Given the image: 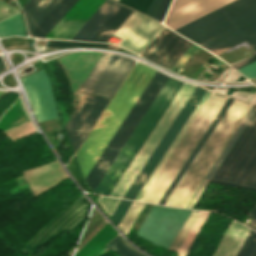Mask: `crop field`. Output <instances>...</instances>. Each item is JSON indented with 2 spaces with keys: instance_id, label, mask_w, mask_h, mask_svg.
<instances>
[{
  "instance_id": "1",
  "label": "crop field",
  "mask_w": 256,
  "mask_h": 256,
  "mask_svg": "<svg viewBox=\"0 0 256 256\" xmlns=\"http://www.w3.org/2000/svg\"><path fill=\"white\" fill-rule=\"evenodd\" d=\"M215 55L243 42L256 50V0H236L177 30ZM256 59V54L234 65L235 69Z\"/></svg>"
},
{
  "instance_id": "2",
  "label": "crop field",
  "mask_w": 256,
  "mask_h": 256,
  "mask_svg": "<svg viewBox=\"0 0 256 256\" xmlns=\"http://www.w3.org/2000/svg\"><path fill=\"white\" fill-rule=\"evenodd\" d=\"M154 73L155 70L136 63L96 126L77 151L76 157L85 178Z\"/></svg>"
},
{
  "instance_id": "3",
  "label": "crop field",
  "mask_w": 256,
  "mask_h": 256,
  "mask_svg": "<svg viewBox=\"0 0 256 256\" xmlns=\"http://www.w3.org/2000/svg\"><path fill=\"white\" fill-rule=\"evenodd\" d=\"M251 106L235 99L165 205L185 207Z\"/></svg>"
},
{
  "instance_id": "4",
  "label": "crop field",
  "mask_w": 256,
  "mask_h": 256,
  "mask_svg": "<svg viewBox=\"0 0 256 256\" xmlns=\"http://www.w3.org/2000/svg\"><path fill=\"white\" fill-rule=\"evenodd\" d=\"M227 99L212 92L141 201L158 204Z\"/></svg>"
},
{
  "instance_id": "5",
  "label": "crop field",
  "mask_w": 256,
  "mask_h": 256,
  "mask_svg": "<svg viewBox=\"0 0 256 256\" xmlns=\"http://www.w3.org/2000/svg\"><path fill=\"white\" fill-rule=\"evenodd\" d=\"M182 84L183 82L169 77L133 133L130 135L94 189L93 192L95 194L109 196Z\"/></svg>"
},
{
  "instance_id": "6",
  "label": "crop field",
  "mask_w": 256,
  "mask_h": 256,
  "mask_svg": "<svg viewBox=\"0 0 256 256\" xmlns=\"http://www.w3.org/2000/svg\"><path fill=\"white\" fill-rule=\"evenodd\" d=\"M211 179L256 190V112Z\"/></svg>"
},
{
  "instance_id": "7",
  "label": "crop field",
  "mask_w": 256,
  "mask_h": 256,
  "mask_svg": "<svg viewBox=\"0 0 256 256\" xmlns=\"http://www.w3.org/2000/svg\"><path fill=\"white\" fill-rule=\"evenodd\" d=\"M167 79L168 76L156 71L145 90L87 176L86 180L92 191Z\"/></svg>"
},
{
  "instance_id": "8",
  "label": "crop field",
  "mask_w": 256,
  "mask_h": 256,
  "mask_svg": "<svg viewBox=\"0 0 256 256\" xmlns=\"http://www.w3.org/2000/svg\"><path fill=\"white\" fill-rule=\"evenodd\" d=\"M194 88L195 85L183 84L110 196L122 198Z\"/></svg>"
},
{
  "instance_id": "9",
  "label": "crop field",
  "mask_w": 256,
  "mask_h": 256,
  "mask_svg": "<svg viewBox=\"0 0 256 256\" xmlns=\"http://www.w3.org/2000/svg\"><path fill=\"white\" fill-rule=\"evenodd\" d=\"M191 210L153 205L137 235L169 249Z\"/></svg>"
},
{
  "instance_id": "10",
  "label": "crop field",
  "mask_w": 256,
  "mask_h": 256,
  "mask_svg": "<svg viewBox=\"0 0 256 256\" xmlns=\"http://www.w3.org/2000/svg\"><path fill=\"white\" fill-rule=\"evenodd\" d=\"M205 92L206 89L196 86L123 198L134 200Z\"/></svg>"
},
{
  "instance_id": "11",
  "label": "crop field",
  "mask_w": 256,
  "mask_h": 256,
  "mask_svg": "<svg viewBox=\"0 0 256 256\" xmlns=\"http://www.w3.org/2000/svg\"><path fill=\"white\" fill-rule=\"evenodd\" d=\"M134 63L128 58L103 53L80 90L111 98Z\"/></svg>"
},
{
  "instance_id": "12",
  "label": "crop field",
  "mask_w": 256,
  "mask_h": 256,
  "mask_svg": "<svg viewBox=\"0 0 256 256\" xmlns=\"http://www.w3.org/2000/svg\"><path fill=\"white\" fill-rule=\"evenodd\" d=\"M89 210L90 203L82 196L51 221L22 251L32 256L52 237L64 230L74 231L86 220Z\"/></svg>"
},
{
  "instance_id": "13",
  "label": "crop field",
  "mask_w": 256,
  "mask_h": 256,
  "mask_svg": "<svg viewBox=\"0 0 256 256\" xmlns=\"http://www.w3.org/2000/svg\"><path fill=\"white\" fill-rule=\"evenodd\" d=\"M108 101L79 92L76 107L65 127L75 152Z\"/></svg>"
},
{
  "instance_id": "14",
  "label": "crop field",
  "mask_w": 256,
  "mask_h": 256,
  "mask_svg": "<svg viewBox=\"0 0 256 256\" xmlns=\"http://www.w3.org/2000/svg\"><path fill=\"white\" fill-rule=\"evenodd\" d=\"M164 26L133 11L113 36L122 39L118 45L140 54Z\"/></svg>"
},
{
  "instance_id": "15",
  "label": "crop field",
  "mask_w": 256,
  "mask_h": 256,
  "mask_svg": "<svg viewBox=\"0 0 256 256\" xmlns=\"http://www.w3.org/2000/svg\"><path fill=\"white\" fill-rule=\"evenodd\" d=\"M38 122L57 118V111L44 69L22 79Z\"/></svg>"
},
{
  "instance_id": "16",
  "label": "crop field",
  "mask_w": 256,
  "mask_h": 256,
  "mask_svg": "<svg viewBox=\"0 0 256 256\" xmlns=\"http://www.w3.org/2000/svg\"><path fill=\"white\" fill-rule=\"evenodd\" d=\"M192 44L165 27L141 56L170 69ZM155 47H159V51H155Z\"/></svg>"
},
{
  "instance_id": "17",
  "label": "crop field",
  "mask_w": 256,
  "mask_h": 256,
  "mask_svg": "<svg viewBox=\"0 0 256 256\" xmlns=\"http://www.w3.org/2000/svg\"><path fill=\"white\" fill-rule=\"evenodd\" d=\"M105 0H78L46 37L71 39Z\"/></svg>"
},
{
  "instance_id": "18",
  "label": "crop field",
  "mask_w": 256,
  "mask_h": 256,
  "mask_svg": "<svg viewBox=\"0 0 256 256\" xmlns=\"http://www.w3.org/2000/svg\"><path fill=\"white\" fill-rule=\"evenodd\" d=\"M119 6L118 3L106 0L72 39L89 41Z\"/></svg>"
},
{
  "instance_id": "19",
  "label": "crop field",
  "mask_w": 256,
  "mask_h": 256,
  "mask_svg": "<svg viewBox=\"0 0 256 256\" xmlns=\"http://www.w3.org/2000/svg\"><path fill=\"white\" fill-rule=\"evenodd\" d=\"M249 230L233 220L213 256H235Z\"/></svg>"
},
{
  "instance_id": "20",
  "label": "crop field",
  "mask_w": 256,
  "mask_h": 256,
  "mask_svg": "<svg viewBox=\"0 0 256 256\" xmlns=\"http://www.w3.org/2000/svg\"><path fill=\"white\" fill-rule=\"evenodd\" d=\"M59 1L60 0H29L27 2L22 10L26 16L29 34L58 4Z\"/></svg>"
},
{
  "instance_id": "21",
  "label": "crop field",
  "mask_w": 256,
  "mask_h": 256,
  "mask_svg": "<svg viewBox=\"0 0 256 256\" xmlns=\"http://www.w3.org/2000/svg\"><path fill=\"white\" fill-rule=\"evenodd\" d=\"M233 100L234 98L229 97V99L227 100V102L225 103V105L223 106V108L221 109V111L219 112V114L217 115V117L215 118V120L213 121V123L211 124V126L209 127V129L207 130V132L205 133V135L203 136V138L201 139V141L199 142V144L197 145V147L195 148V150L193 151V153L191 154V156L189 157V159L187 160V162L185 163V165L183 166V168L181 169V171L179 172V174L177 175V177L175 178V180L173 181V183L163 196V198L161 199V201L159 202V204L164 205V203L166 202V200L168 199V197L170 196V194L172 193L180 179L183 177V175L185 174V172L187 171V169L189 168V166L191 165V163L193 162V160L195 159V157L197 156V154L199 153V151L201 150V148L203 147V145L205 144V142L207 141V139L209 138V136L211 135V133L213 132V130L215 129V127L225 114V112L227 111V109L229 108V106L231 105V103L233 102Z\"/></svg>"
},
{
  "instance_id": "22",
  "label": "crop field",
  "mask_w": 256,
  "mask_h": 256,
  "mask_svg": "<svg viewBox=\"0 0 256 256\" xmlns=\"http://www.w3.org/2000/svg\"><path fill=\"white\" fill-rule=\"evenodd\" d=\"M210 94V91H207L205 93V95L203 96V98L201 99V101L199 102V104L197 105V107L195 108V110L193 111V113L191 114V116L189 117V119L187 120V122L185 123V125L183 126V128L181 129V131L179 132V134L177 135V137L175 138V140L173 141V143L171 144V146L169 147V149L167 150V152L165 153V155L139 192V194L137 195V197L135 198V200L140 201V199L142 198V196L144 195V193L146 192V190L148 189V187L150 186V184L152 183V181L154 180V178L156 177V175L158 174V172L160 171V169L162 168V166L164 165V163L174 150L175 146L177 145V143L179 142V140L181 139V137L183 136V134L185 133V131L187 130V128L189 127V125L191 124V122L193 121V119L195 118Z\"/></svg>"
},
{
  "instance_id": "23",
  "label": "crop field",
  "mask_w": 256,
  "mask_h": 256,
  "mask_svg": "<svg viewBox=\"0 0 256 256\" xmlns=\"http://www.w3.org/2000/svg\"><path fill=\"white\" fill-rule=\"evenodd\" d=\"M76 1L77 0H62L35 29L32 35L36 37H45Z\"/></svg>"
},
{
  "instance_id": "24",
  "label": "crop field",
  "mask_w": 256,
  "mask_h": 256,
  "mask_svg": "<svg viewBox=\"0 0 256 256\" xmlns=\"http://www.w3.org/2000/svg\"><path fill=\"white\" fill-rule=\"evenodd\" d=\"M255 110L256 104H253V106L251 107V109L249 110V112L247 113V115L245 116V118L243 119V121L241 122V124L239 125V127L237 128V130L235 131V133L233 134V136L223 149V151L221 152L220 156L218 157V159L216 160V162L214 163V165L212 166V168L210 169V171L208 172V174L206 175V177L204 178V180L202 181V183L200 184V186L198 187V189L196 190V192L194 193L186 207L191 208V206L199 196L200 192L202 191V189L204 188V186L206 185V183L208 182V180L210 179V177L212 176V174L214 173V171L216 170V168L218 167V165L220 164V162L222 161V159L224 158V156L226 155V153L228 152V150L230 149V147L232 146V144L234 143V141L236 140V138L238 137V135L240 134V132L242 131V129L244 128V126L246 125V123L248 122V120L250 119Z\"/></svg>"
},
{
  "instance_id": "25",
  "label": "crop field",
  "mask_w": 256,
  "mask_h": 256,
  "mask_svg": "<svg viewBox=\"0 0 256 256\" xmlns=\"http://www.w3.org/2000/svg\"><path fill=\"white\" fill-rule=\"evenodd\" d=\"M117 235L116 230H113L110 224L107 223L75 256H92Z\"/></svg>"
},
{
  "instance_id": "26",
  "label": "crop field",
  "mask_w": 256,
  "mask_h": 256,
  "mask_svg": "<svg viewBox=\"0 0 256 256\" xmlns=\"http://www.w3.org/2000/svg\"><path fill=\"white\" fill-rule=\"evenodd\" d=\"M131 12L121 5L90 41L105 42Z\"/></svg>"
},
{
  "instance_id": "27",
  "label": "crop field",
  "mask_w": 256,
  "mask_h": 256,
  "mask_svg": "<svg viewBox=\"0 0 256 256\" xmlns=\"http://www.w3.org/2000/svg\"><path fill=\"white\" fill-rule=\"evenodd\" d=\"M27 121L21 101L18 98L15 104L0 118V129L5 131Z\"/></svg>"
},
{
  "instance_id": "28",
  "label": "crop field",
  "mask_w": 256,
  "mask_h": 256,
  "mask_svg": "<svg viewBox=\"0 0 256 256\" xmlns=\"http://www.w3.org/2000/svg\"><path fill=\"white\" fill-rule=\"evenodd\" d=\"M9 35L26 36L20 13L0 22V37Z\"/></svg>"
},
{
  "instance_id": "29",
  "label": "crop field",
  "mask_w": 256,
  "mask_h": 256,
  "mask_svg": "<svg viewBox=\"0 0 256 256\" xmlns=\"http://www.w3.org/2000/svg\"><path fill=\"white\" fill-rule=\"evenodd\" d=\"M144 206L145 204L137 202H133V204L131 205L130 209L128 210V212L122 219L121 223L119 224V227L125 235L132 226V224L134 223V221L136 220V218L138 217V215L140 214Z\"/></svg>"
},
{
  "instance_id": "30",
  "label": "crop field",
  "mask_w": 256,
  "mask_h": 256,
  "mask_svg": "<svg viewBox=\"0 0 256 256\" xmlns=\"http://www.w3.org/2000/svg\"><path fill=\"white\" fill-rule=\"evenodd\" d=\"M199 213L200 211L192 210L191 214L189 215L188 219L186 220L185 224L183 225L182 229L180 230L179 234L177 235L176 239L171 245L170 247L171 250L177 251L179 249L180 245L182 244L183 240L188 234L190 228L192 227Z\"/></svg>"
},
{
  "instance_id": "31",
  "label": "crop field",
  "mask_w": 256,
  "mask_h": 256,
  "mask_svg": "<svg viewBox=\"0 0 256 256\" xmlns=\"http://www.w3.org/2000/svg\"><path fill=\"white\" fill-rule=\"evenodd\" d=\"M111 249L117 252L121 256H143L132 249L124 241H122L119 236L107 244Z\"/></svg>"
},
{
  "instance_id": "32",
  "label": "crop field",
  "mask_w": 256,
  "mask_h": 256,
  "mask_svg": "<svg viewBox=\"0 0 256 256\" xmlns=\"http://www.w3.org/2000/svg\"><path fill=\"white\" fill-rule=\"evenodd\" d=\"M255 245H256V233L250 230L247 238L245 239L243 245L241 246L236 256H250Z\"/></svg>"
},
{
  "instance_id": "33",
  "label": "crop field",
  "mask_w": 256,
  "mask_h": 256,
  "mask_svg": "<svg viewBox=\"0 0 256 256\" xmlns=\"http://www.w3.org/2000/svg\"><path fill=\"white\" fill-rule=\"evenodd\" d=\"M76 45L100 46V47H107L108 46V44H102V43H87V42L50 40L46 48L47 49H52V48L76 46Z\"/></svg>"
},
{
  "instance_id": "34",
  "label": "crop field",
  "mask_w": 256,
  "mask_h": 256,
  "mask_svg": "<svg viewBox=\"0 0 256 256\" xmlns=\"http://www.w3.org/2000/svg\"><path fill=\"white\" fill-rule=\"evenodd\" d=\"M131 204L132 202L130 201L121 200L120 204L118 205L117 209L113 213L112 217L110 216L117 226L120 223L123 216L125 215V213L127 212V210L129 209Z\"/></svg>"
},
{
  "instance_id": "35",
  "label": "crop field",
  "mask_w": 256,
  "mask_h": 256,
  "mask_svg": "<svg viewBox=\"0 0 256 256\" xmlns=\"http://www.w3.org/2000/svg\"><path fill=\"white\" fill-rule=\"evenodd\" d=\"M98 201L100 205L104 208V210L109 214V216L112 215L118 203L120 202L119 199L108 198L103 196H100Z\"/></svg>"
},
{
  "instance_id": "36",
  "label": "crop field",
  "mask_w": 256,
  "mask_h": 256,
  "mask_svg": "<svg viewBox=\"0 0 256 256\" xmlns=\"http://www.w3.org/2000/svg\"><path fill=\"white\" fill-rule=\"evenodd\" d=\"M202 48L196 46V45H192L188 51L176 62V64L170 69L176 73H180V71L182 70V68H180L182 66V64L188 59V57L195 51L196 53L198 51H200Z\"/></svg>"
},
{
  "instance_id": "37",
  "label": "crop field",
  "mask_w": 256,
  "mask_h": 256,
  "mask_svg": "<svg viewBox=\"0 0 256 256\" xmlns=\"http://www.w3.org/2000/svg\"><path fill=\"white\" fill-rule=\"evenodd\" d=\"M19 13V11L0 1V21Z\"/></svg>"
},
{
  "instance_id": "38",
  "label": "crop field",
  "mask_w": 256,
  "mask_h": 256,
  "mask_svg": "<svg viewBox=\"0 0 256 256\" xmlns=\"http://www.w3.org/2000/svg\"><path fill=\"white\" fill-rule=\"evenodd\" d=\"M171 2L172 0H162L154 18L162 22L169 9Z\"/></svg>"
},
{
  "instance_id": "39",
  "label": "crop field",
  "mask_w": 256,
  "mask_h": 256,
  "mask_svg": "<svg viewBox=\"0 0 256 256\" xmlns=\"http://www.w3.org/2000/svg\"><path fill=\"white\" fill-rule=\"evenodd\" d=\"M67 167L69 168V170L71 171V173L74 175V177L76 178V180L79 182V184L82 186V188H85V185L81 179L80 173L78 171V168L76 166L75 160L72 157V159L70 160V162L68 163Z\"/></svg>"
},
{
  "instance_id": "40",
  "label": "crop field",
  "mask_w": 256,
  "mask_h": 256,
  "mask_svg": "<svg viewBox=\"0 0 256 256\" xmlns=\"http://www.w3.org/2000/svg\"><path fill=\"white\" fill-rule=\"evenodd\" d=\"M238 72L247 78H256V62L238 70Z\"/></svg>"
},
{
  "instance_id": "41",
  "label": "crop field",
  "mask_w": 256,
  "mask_h": 256,
  "mask_svg": "<svg viewBox=\"0 0 256 256\" xmlns=\"http://www.w3.org/2000/svg\"><path fill=\"white\" fill-rule=\"evenodd\" d=\"M151 1L152 0H136L132 8L145 14Z\"/></svg>"
},
{
  "instance_id": "42",
  "label": "crop field",
  "mask_w": 256,
  "mask_h": 256,
  "mask_svg": "<svg viewBox=\"0 0 256 256\" xmlns=\"http://www.w3.org/2000/svg\"><path fill=\"white\" fill-rule=\"evenodd\" d=\"M160 2L161 0H153L146 14L151 17H154Z\"/></svg>"
},
{
  "instance_id": "43",
  "label": "crop field",
  "mask_w": 256,
  "mask_h": 256,
  "mask_svg": "<svg viewBox=\"0 0 256 256\" xmlns=\"http://www.w3.org/2000/svg\"><path fill=\"white\" fill-rule=\"evenodd\" d=\"M250 216H253L254 218H253L252 222L249 225H247V226H249V227H251V228L256 230V206L254 207V209L250 213Z\"/></svg>"
},
{
  "instance_id": "44",
  "label": "crop field",
  "mask_w": 256,
  "mask_h": 256,
  "mask_svg": "<svg viewBox=\"0 0 256 256\" xmlns=\"http://www.w3.org/2000/svg\"><path fill=\"white\" fill-rule=\"evenodd\" d=\"M135 0H119L118 2L129 7H132Z\"/></svg>"
},
{
  "instance_id": "45",
  "label": "crop field",
  "mask_w": 256,
  "mask_h": 256,
  "mask_svg": "<svg viewBox=\"0 0 256 256\" xmlns=\"http://www.w3.org/2000/svg\"><path fill=\"white\" fill-rule=\"evenodd\" d=\"M3 69H5V66H4V64H3V62H2V60H1V58H0V72H1Z\"/></svg>"
},
{
  "instance_id": "46",
  "label": "crop field",
  "mask_w": 256,
  "mask_h": 256,
  "mask_svg": "<svg viewBox=\"0 0 256 256\" xmlns=\"http://www.w3.org/2000/svg\"><path fill=\"white\" fill-rule=\"evenodd\" d=\"M251 256H256V247H255L253 253L251 254Z\"/></svg>"
},
{
  "instance_id": "47",
  "label": "crop field",
  "mask_w": 256,
  "mask_h": 256,
  "mask_svg": "<svg viewBox=\"0 0 256 256\" xmlns=\"http://www.w3.org/2000/svg\"><path fill=\"white\" fill-rule=\"evenodd\" d=\"M6 92H0V98L5 94Z\"/></svg>"
},
{
  "instance_id": "48",
  "label": "crop field",
  "mask_w": 256,
  "mask_h": 256,
  "mask_svg": "<svg viewBox=\"0 0 256 256\" xmlns=\"http://www.w3.org/2000/svg\"><path fill=\"white\" fill-rule=\"evenodd\" d=\"M114 1H116V2H117V0H114Z\"/></svg>"
}]
</instances>
